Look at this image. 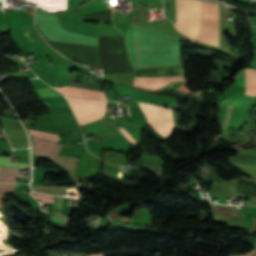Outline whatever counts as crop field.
<instances>
[{"label": "crop field", "mask_w": 256, "mask_h": 256, "mask_svg": "<svg viewBox=\"0 0 256 256\" xmlns=\"http://www.w3.org/2000/svg\"><path fill=\"white\" fill-rule=\"evenodd\" d=\"M138 103L144 112L148 123L152 124L156 131L168 139L174 129L172 110L140 102Z\"/></svg>", "instance_id": "crop-field-3"}, {"label": "crop field", "mask_w": 256, "mask_h": 256, "mask_svg": "<svg viewBox=\"0 0 256 256\" xmlns=\"http://www.w3.org/2000/svg\"><path fill=\"white\" fill-rule=\"evenodd\" d=\"M90 256H101L100 254H96V255H90Z\"/></svg>", "instance_id": "crop-field-18"}, {"label": "crop field", "mask_w": 256, "mask_h": 256, "mask_svg": "<svg viewBox=\"0 0 256 256\" xmlns=\"http://www.w3.org/2000/svg\"><path fill=\"white\" fill-rule=\"evenodd\" d=\"M124 137L134 146L138 145L135 140L129 135V133L124 129V127L118 128Z\"/></svg>", "instance_id": "crop-field-14"}, {"label": "crop field", "mask_w": 256, "mask_h": 256, "mask_svg": "<svg viewBox=\"0 0 256 256\" xmlns=\"http://www.w3.org/2000/svg\"><path fill=\"white\" fill-rule=\"evenodd\" d=\"M246 76V95H256V70L255 69H245ZM241 94H233L228 97L222 105H241L246 103L252 96H246ZM250 101V100H249Z\"/></svg>", "instance_id": "crop-field-5"}, {"label": "crop field", "mask_w": 256, "mask_h": 256, "mask_svg": "<svg viewBox=\"0 0 256 256\" xmlns=\"http://www.w3.org/2000/svg\"><path fill=\"white\" fill-rule=\"evenodd\" d=\"M54 140L32 136L33 153L54 158L61 146Z\"/></svg>", "instance_id": "crop-field-6"}, {"label": "crop field", "mask_w": 256, "mask_h": 256, "mask_svg": "<svg viewBox=\"0 0 256 256\" xmlns=\"http://www.w3.org/2000/svg\"><path fill=\"white\" fill-rule=\"evenodd\" d=\"M9 157H0V165L4 166H14V167H27L25 163H10Z\"/></svg>", "instance_id": "crop-field-10"}, {"label": "crop field", "mask_w": 256, "mask_h": 256, "mask_svg": "<svg viewBox=\"0 0 256 256\" xmlns=\"http://www.w3.org/2000/svg\"><path fill=\"white\" fill-rule=\"evenodd\" d=\"M29 133H30V135H36V136L51 138V139H55V140H57L59 138V135L34 131V130H30V129H29Z\"/></svg>", "instance_id": "crop-field-11"}, {"label": "crop field", "mask_w": 256, "mask_h": 256, "mask_svg": "<svg viewBox=\"0 0 256 256\" xmlns=\"http://www.w3.org/2000/svg\"><path fill=\"white\" fill-rule=\"evenodd\" d=\"M80 125L103 118L105 101L67 99Z\"/></svg>", "instance_id": "crop-field-4"}, {"label": "crop field", "mask_w": 256, "mask_h": 256, "mask_svg": "<svg viewBox=\"0 0 256 256\" xmlns=\"http://www.w3.org/2000/svg\"><path fill=\"white\" fill-rule=\"evenodd\" d=\"M1 198H2V194H0V206H1Z\"/></svg>", "instance_id": "crop-field-17"}, {"label": "crop field", "mask_w": 256, "mask_h": 256, "mask_svg": "<svg viewBox=\"0 0 256 256\" xmlns=\"http://www.w3.org/2000/svg\"><path fill=\"white\" fill-rule=\"evenodd\" d=\"M32 196H34L35 198H40L42 200H48V201L53 200V196L40 195V194H34V193H32Z\"/></svg>", "instance_id": "crop-field-15"}, {"label": "crop field", "mask_w": 256, "mask_h": 256, "mask_svg": "<svg viewBox=\"0 0 256 256\" xmlns=\"http://www.w3.org/2000/svg\"><path fill=\"white\" fill-rule=\"evenodd\" d=\"M201 1L176 0V28L197 40ZM218 4L202 1L198 40L219 46Z\"/></svg>", "instance_id": "crop-field-1"}, {"label": "crop field", "mask_w": 256, "mask_h": 256, "mask_svg": "<svg viewBox=\"0 0 256 256\" xmlns=\"http://www.w3.org/2000/svg\"><path fill=\"white\" fill-rule=\"evenodd\" d=\"M184 75L183 67L136 70L135 77ZM185 79L184 76L135 78L134 85L154 90L167 81Z\"/></svg>", "instance_id": "crop-field-2"}, {"label": "crop field", "mask_w": 256, "mask_h": 256, "mask_svg": "<svg viewBox=\"0 0 256 256\" xmlns=\"http://www.w3.org/2000/svg\"><path fill=\"white\" fill-rule=\"evenodd\" d=\"M39 7L47 11H58L67 9L66 0H33Z\"/></svg>", "instance_id": "crop-field-7"}, {"label": "crop field", "mask_w": 256, "mask_h": 256, "mask_svg": "<svg viewBox=\"0 0 256 256\" xmlns=\"http://www.w3.org/2000/svg\"><path fill=\"white\" fill-rule=\"evenodd\" d=\"M15 188H16V185L0 184V192H3V193L14 192Z\"/></svg>", "instance_id": "crop-field-13"}, {"label": "crop field", "mask_w": 256, "mask_h": 256, "mask_svg": "<svg viewBox=\"0 0 256 256\" xmlns=\"http://www.w3.org/2000/svg\"><path fill=\"white\" fill-rule=\"evenodd\" d=\"M50 219H52L53 221L57 222L58 224H63L64 222H66L67 220H69V218L63 216L62 214L56 212L54 215H52L51 217H49Z\"/></svg>", "instance_id": "crop-field-12"}, {"label": "crop field", "mask_w": 256, "mask_h": 256, "mask_svg": "<svg viewBox=\"0 0 256 256\" xmlns=\"http://www.w3.org/2000/svg\"><path fill=\"white\" fill-rule=\"evenodd\" d=\"M225 108H226V106H220L219 117H218V123H219L221 126H223V122H224V118H225ZM229 108H230V106H227V108H226V119H225L223 131H224L225 128H226V124H227V120H228V116H229Z\"/></svg>", "instance_id": "crop-field-9"}, {"label": "crop field", "mask_w": 256, "mask_h": 256, "mask_svg": "<svg viewBox=\"0 0 256 256\" xmlns=\"http://www.w3.org/2000/svg\"><path fill=\"white\" fill-rule=\"evenodd\" d=\"M240 256H256V250L254 249L252 252L245 255H240Z\"/></svg>", "instance_id": "crop-field-16"}, {"label": "crop field", "mask_w": 256, "mask_h": 256, "mask_svg": "<svg viewBox=\"0 0 256 256\" xmlns=\"http://www.w3.org/2000/svg\"><path fill=\"white\" fill-rule=\"evenodd\" d=\"M18 168L0 166V181L16 183Z\"/></svg>", "instance_id": "crop-field-8"}, {"label": "crop field", "mask_w": 256, "mask_h": 256, "mask_svg": "<svg viewBox=\"0 0 256 256\" xmlns=\"http://www.w3.org/2000/svg\"><path fill=\"white\" fill-rule=\"evenodd\" d=\"M127 109H128V114H129V116H130V111H129V107H127Z\"/></svg>", "instance_id": "crop-field-19"}]
</instances>
